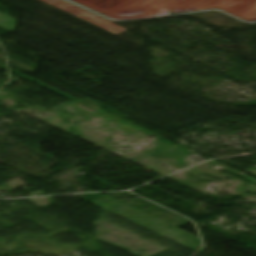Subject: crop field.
<instances>
[{"label":"crop field","mask_w":256,"mask_h":256,"mask_svg":"<svg viewBox=\"0 0 256 256\" xmlns=\"http://www.w3.org/2000/svg\"><path fill=\"white\" fill-rule=\"evenodd\" d=\"M42 1H45L53 6H56L60 9H62V10H65L73 15H76V16H78L84 20H87L95 25H98L104 29H107L115 34L126 31L101 17H98L94 14H91L87 11L77 8V7L71 5L67 2H64L62 0H42Z\"/></svg>","instance_id":"1"}]
</instances>
